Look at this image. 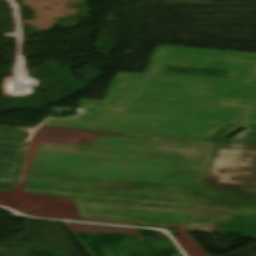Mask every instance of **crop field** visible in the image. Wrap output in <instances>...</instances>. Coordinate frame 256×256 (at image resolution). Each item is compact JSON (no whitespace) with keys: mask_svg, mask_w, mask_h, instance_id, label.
<instances>
[{"mask_svg":"<svg viewBox=\"0 0 256 256\" xmlns=\"http://www.w3.org/2000/svg\"><path fill=\"white\" fill-rule=\"evenodd\" d=\"M215 146H219V147H231V148H242V149H254V150H256V146L240 145V144H231V143H221V142H216Z\"/></svg>","mask_w":256,"mask_h":256,"instance_id":"crop-field-7","label":"crop field"},{"mask_svg":"<svg viewBox=\"0 0 256 256\" xmlns=\"http://www.w3.org/2000/svg\"><path fill=\"white\" fill-rule=\"evenodd\" d=\"M159 65H160V62L151 61L145 74H131V73L117 74L104 100L102 101L81 100L79 106L85 107L88 109L91 106H104V107H110V108H116V109H120L126 106L130 101V99L133 97V95L136 93L140 83L146 80L147 78L153 76V74L158 69ZM73 119L75 118L66 119L65 121H71ZM54 120H59V119H54Z\"/></svg>","mask_w":256,"mask_h":256,"instance_id":"crop-field-4","label":"crop field"},{"mask_svg":"<svg viewBox=\"0 0 256 256\" xmlns=\"http://www.w3.org/2000/svg\"><path fill=\"white\" fill-rule=\"evenodd\" d=\"M100 132L58 129L38 126L30 137V145H25L18 171L29 172L36 140L88 145Z\"/></svg>","mask_w":256,"mask_h":256,"instance_id":"crop-field-5","label":"crop field"},{"mask_svg":"<svg viewBox=\"0 0 256 256\" xmlns=\"http://www.w3.org/2000/svg\"><path fill=\"white\" fill-rule=\"evenodd\" d=\"M33 127L13 129L0 127V190L15 191L10 185L22 143Z\"/></svg>","mask_w":256,"mask_h":256,"instance_id":"crop-field-6","label":"crop field"},{"mask_svg":"<svg viewBox=\"0 0 256 256\" xmlns=\"http://www.w3.org/2000/svg\"><path fill=\"white\" fill-rule=\"evenodd\" d=\"M165 49H166V47H164V46H161V47L155 49L151 60L162 61V59L165 55Z\"/></svg>","mask_w":256,"mask_h":256,"instance_id":"crop-field-8","label":"crop field"},{"mask_svg":"<svg viewBox=\"0 0 256 256\" xmlns=\"http://www.w3.org/2000/svg\"><path fill=\"white\" fill-rule=\"evenodd\" d=\"M165 65L226 67L229 79L166 74ZM90 109L43 126L101 131L91 144L37 141L35 152L206 167L215 142L205 139L224 125L256 124V54L167 47L128 106Z\"/></svg>","mask_w":256,"mask_h":256,"instance_id":"crop-field-1","label":"crop field"},{"mask_svg":"<svg viewBox=\"0 0 256 256\" xmlns=\"http://www.w3.org/2000/svg\"><path fill=\"white\" fill-rule=\"evenodd\" d=\"M251 164H256V151L214 147L207 169L205 171L204 177L199 187L256 192V172L222 170L225 168H233V169L256 171V169L239 168L242 166L256 167V165H251ZM231 179L255 181V182L249 183V182L234 181ZM216 225H223V224H216ZM223 226H233V225H223ZM234 227H243V226H234ZM246 228H253V227H246ZM242 231L255 232L250 230H242Z\"/></svg>","mask_w":256,"mask_h":256,"instance_id":"crop-field-3","label":"crop field"},{"mask_svg":"<svg viewBox=\"0 0 256 256\" xmlns=\"http://www.w3.org/2000/svg\"><path fill=\"white\" fill-rule=\"evenodd\" d=\"M205 169L35 153L30 172L198 187Z\"/></svg>","mask_w":256,"mask_h":256,"instance_id":"crop-field-2","label":"crop field"}]
</instances>
